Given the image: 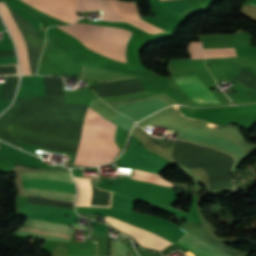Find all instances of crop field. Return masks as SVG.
<instances>
[{
	"label": "crop field",
	"instance_id": "crop-field-1",
	"mask_svg": "<svg viewBox=\"0 0 256 256\" xmlns=\"http://www.w3.org/2000/svg\"><path fill=\"white\" fill-rule=\"evenodd\" d=\"M114 128L115 124L88 107L73 164L94 166L111 161L119 151L113 140Z\"/></svg>",
	"mask_w": 256,
	"mask_h": 256
},
{
	"label": "crop field",
	"instance_id": "crop-field-2",
	"mask_svg": "<svg viewBox=\"0 0 256 256\" xmlns=\"http://www.w3.org/2000/svg\"><path fill=\"white\" fill-rule=\"evenodd\" d=\"M59 28L77 37L90 49L102 55L125 61V48L132 32L114 27L81 23Z\"/></svg>",
	"mask_w": 256,
	"mask_h": 256
},
{
	"label": "crop field",
	"instance_id": "crop-field-3",
	"mask_svg": "<svg viewBox=\"0 0 256 256\" xmlns=\"http://www.w3.org/2000/svg\"><path fill=\"white\" fill-rule=\"evenodd\" d=\"M112 219L106 217L104 221H107L111 226L129 234L147 248L163 251L173 245L153 234L136 229L137 227L134 228L130 225L121 223L122 221L118 222L119 220L115 221L116 219ZM176 244L191 251L197 256H230L228 253L189 233H186V235Z\"/></svg>",
	"mask_w": 256,
	"mask_h": 256
},
{
	"label": "crop field",
	"instance_id": "crop-field-4",
	"mask_svg": "<svg viewBox=\"0 0 256 256\" xmlns=\"http://www.w3.org/2000/svg\"><path fill=\"white\" fill-rule=\"evenodd\" d=\"M104 8V20L128 21L151 33L163 30L139 19L135 3L117 0H76V12L92 11Z\"/></svg>",
	"mask_w": 256,
	"mask_h": 256
},
{
	"label": "crop field",
	"instance_id": "crop-field-5",
	"mask_svg": "<svg viewBox=\"0 0 256 256\" xmlns=\"http://www.w3.org/2000/svg\"><path fill=\"white\" fill-rule=\"evenodd\" d=\"M0 13L15 40L22 74H33L25 38L11 9L5 2H0Z\"/></svg>",
	"mask_w": 256,
	"mask_h": 256
},
{
	"label": "crop field",
	"instance_id": "crop-field-6",
	"mask_svg": "<svg viewBox=\"0 0 256 256\" xmlns=\"http://www.w3.org/2000/svg\"><path fill=\"white\" fill-rule=\"evenodd\" d=\"M181 89L195 102L220 104L217 98L198 79L197 75L172 76Z\"/></svg>",
	"mask_w": 256,
	"mask_h": 256
},
{
	"label": "crop field",
	"instance_id": "crop-field-7",
	"mask_svg": "<svg viewBox=\"0 0 256 256\" xmlns=\"http://www.w3.org/2000/svg\"><path fill=\"white\" fill-rule=\"evenodd\" d=\"M35 8L61 19L73 23L78 17L74 14V0H23Z\"/></svg>",
	"mask_w": 256,
	"mask_h": 256
},
{
	"label": "crop field",
	"instance_id": "crop-field-8",
	"mask_svg": "<svg viewBox=\"0 0 256 256\" xmlns=\"http://www.w3.org/2000/svg\"><path fill=\"white\" fill-rule=\"evenodd\" d=\"M80 77L94 80V81L107 82V83L136 78L134 76H128V75L108 72V71L84 67V66H82Z\"/></svg>",
	"mask_w": 256,
	"mask_h": 256
},
{
	"label": "crop field",
	"instance_id": "crop-field-9",
	"mask_svg": "<svg viewBox=\"0 0 256 256\" xmlns=\"http://www.w3.org/2000/svg\"><path fill=\"white\" fill-rule=\"evenodd\" d=\"M23 227L27 228H34V229H42L47 231H53L63 234H71V231L73 228L68 227L66 225L62 224H56L52 222L37 220V219H31L28 218Z\"/></svg>",
	"mask_w": 256,
	"mask_h": 256
},
{
	"label": "crop field",
	"instance_id": "crop-field-10",
	"mask_svg": "<svg viewBox=\"0 0 256 256\" xmlns=\"http://www.w3.org/2000/svg\"><path fill=\"white\" fill-rule=\"evenodd\" d=\"M168 71H208L203 60H170Z\"/></svg>",
	"mask_w": 256,
	"mask_h": 256
},
{
	"label": "crop field",
	"instance_id": "crop-field-11",
	"mask_svg": "<svg viewBox=\"0 0 256 256\" xmlns=\"http://www.w3.org/2000/svg\"><path fill=\"white\" fill-rule=\"evenodd\" d=\"M34 178L54 179V180H61V181L74 183L70 173H66V172L39 171V172H26L22 174V179H34Z\"/></svg>",
	"mask_w": 256,
	"mask_h": 256
},
{
	"label": "crop field",
	"instance_id": "crop-field-12",
	"mask_svg": "<svg viewBox=\"0 0 256 256\" xmlns=\"http://www.w3.org/2000/svg\"><path fill=\"white\" fill-rule=\"evenodd\" d=\"M27 196H34V197H41V198H48V199H57L63 201H70L74 202L75 195L66 194V193H59L48 191L44 189H25Z\"/></svg>",
	"mask_w": 256,
	"mask_h": 256
},
{
	"label": "crop field",
	"instance_id": "crop-field-13",
	"mask_svg": "<svg viewBox=\"0 0 256 256\" xmlns=\"http://www.w3.org/2000/svg\"><path fill=\"white\" fill-rule=\"evenodd\" d=\"M21 235H27V236H33V237H39V238H45L50 240H56V241H64L68 242L71 236L53 233V232H47V231H40V230H33V229H25L22 228L19 232Z\"/></svg>",
	"mask_w": 256,
	"mask_h": 256
},
{
	"label": "crop field",
	"instance_id": "crop-field-14",
	"mask_svg": "<svg viewBox=\"0 0 256 256\" xmlns=\"http://www.w3.org/2000/svg\"><path fill=\"white\" fill-rule=\"evenodd\" d=\"M148 183L156 184L166 188L174 189L173 184L163 180L159 175L141 172L134 169V176L131 177ZM175 190V189H174Z\"/></svg>",
	"mask_w": 256,
	"mask_h": 256
},
{
	"label": "crop field",
	"instance_id": "crop-field-15",
	"mask_svg": "<svg viewBox=\"0 0 256 256\" xmlns=\"http://www.w3.org/2000/svg\"><path fill=\"white\" fill-rule=\"evenodd\" d=\"M160 2L168 0H159ZM171 12H183L190 8L187 0H173L162 3Z\"/></svg>",
	"mask_w": 256,
	"mask_h": 256
},
{
	"label": "crop field",
	"instance_id": "crop-field-16",
	"mask_svg": "<svg viewBox=\"0 0 256 256\" xmlns=\"http://www.w3.org/2000/svg\"><path fill=\"white\" fill-rule=\"evenodd\" d=\"M205 58L236 56L234 48L204 49Z\"/></svg>",
	"mask_w": 256,
	"mask_h": 256
},
{
	"label": "crop field",
	"instance_id": "crop-field-17",
	"mask_svg": "<svg viewBox=\"0 0 256 256\" xmlns=\"http://www.w3.org/2000/svg\"><path fill=\"white\" fill-rule=\"evenodd\" d=\"M188 49L192 59H203L201 43L191 42Z\"/></svg>",
	"mask_w": 256,
	"mask_h": 256
},
{
	"label": "crop field",
	"instance_id": "crop-field-18",
	"mask_svg": "<svg viewBox=\"0 0 256 256\" xmlns=\"http://www.w3.org/2000/svg\"><path fill=\"white\" fill-rule=\"evenodd\" d=\"M139 255L140 256H157L155 253H150L145 251L139 252Z\"/></svg>",
	"mask_w": 256,
	"mask_h": 256
},
{
	"label": "crop field",
	"instance_id": "crop-field-19",
	"mask_svg": "<svg viewBox=\"0 0 256 256\" xmlns=\"http://www.w3.org/2000/svg\"><path fill=\"white\" fill-rule=\"evenodd\" d=\"M72 226H77V227H81V228H87V229H89L88 227H86V226H82V225H78V224H72Z\"/></svg>",
	"mask_w": 256,
	"mask_h": 256
}]
</instances>
